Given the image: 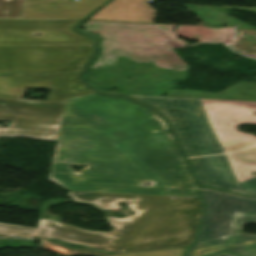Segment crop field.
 <instances>
[{"label": "crop field", "mask_w": 256, "mask_h": 256, "mask_svg": "<svg viewBox=\"0 0 256 256\" xmlns=\"http://www.w3.org/2000/svg\"><path fill=\"white\" fill-rule=\"evenodd\" d=\"M78 21L0 20V45L93 44L91 37L70 29Z\"/></svg>", "instance_id": "d8731c3e"}, {"label": "crop field", "mask_w": 256, "mask_h": 256, "mask_svg": "<svg viewBox=\"0 0 256 256\" xmlns=\"http://www.w3.org/2000/svg\"><path fill=\"white\" fill-rule=\"evenodd\" d=\"M23 5L24 0H0V17H19Z\"/></svg>", "instance_id": "22f410ed"}, {"label": "crop field", "mask_w": 256, "mask_h": 256, "mask_svg": "<svg viewBox=\"0 0 256 256\" xmlns=\"http://www.w3.org/2000/svg\"><path fill=\"white\" fill-rule=\"evenodd\" d=\"M64 103L0 98V120L12 121L0 128V136L56 140Z\"/></svg>", "instance_id": "e52e79f7"}, {"label": "crop field", "mask_w": 256, "mask_h": 256, "mask_svg": "<svg viewBox=\"0 0 256 256\" xmlns=\"http://www.w3.org/2000/svg\"><path fill=\"white\" fill-rule=\"evenodd\" d=\"M92 45L0 46V74L79 71Z\"/></svg>", "instance_id": "dd49c442"}, {"label": "crop field", "mask_w": 256, "mask_h": 256, "mask_svg": "<svg viewBox=\"0 0 256 256\" xmlns=\"http://www.w3.org/2000/svg\"><path fill=\"white\" fill-rule=\"evenodd\" d=\"M184 250L185 248H174V249L124 253V254L109 255V256H182Z\"/></svg>", "instance_id": "cbeb9de0"}, {"label": "crop field", "mask_w": 256, "mask_h": 256, "mask_svg": "<svg viewBox=\"0 0 256 256\" xmlns=\"http://www.w3.org/2000/svg\"><path fill=\"white\" fill-rule=\"evenodd\" d=\"M163 195L197 197L198 185L165 121L123 96L68 100Z\"/></svg>", "instance_id": "ac0d7876"}, {"label": "crop field", "mask_w": 256, "mask_h": 256, "mask_svg": "<svg viewBox=\"0 0 256 256\" xmlns=\"http://www.w3.org/2000/svg\"><path fill=\"white\" fill-rule=\"evenodd\" d=\"M61 121L50 181L66 190L162 195L68 101ZM88 167L74 172L71 165Z\"/></svg>", "instance_id": "34b2d1b8"}, {"label": "crop field", "mask_w": 256, "mask_h": 256, "mask_svg": "<svg viewBox=\"0 0 256 256\" xmlns=\"http://www.w3.org/2000/svg\"><path fill=\"white\" fill-rule=\"evenodd\" d=\"M70 197L101 209H116L125 202L135 214L108 218L111 233L84 231L39 219L37 229L0 223V235L56 238L111 252L190 245L195 237L202 205L198 198L71 191Z\"/></svg>", "instance_id": "8a807250"}, {"label": "crop field", "mask_w": 256, "mask_h": 256, "mask_svg": "<svg viewBox=\"0 0 256 256\" xmlns=\"http://www.w3.org/2000/svg\"><path fill=\"white\" fill-rule=\"evenodd\" d=\"M130 96L154 107L168 119L202 184L256 195V177L238 181L199 98Z\"/></svg>", "instance_id": "412701ff"}, {"label": "crop field", "mask_w": 256, "mask_h": 256, "mask_svg": "<svg viewBox=\"0 0 256 256\" xmlns=\"http://www.w3.org/2000/svg\"><path fill=\"white\" fill-rule=\"evenodd\" d=\"M38 0H25L26 2ZM105 0H55L26 4L22 19H82L94 11Z\"/></svg>", "instance_id": "28ad6ade"}, {"label": "crop field", "mask_w": 256, "mask_h": 256, "mask_svg": "<svg viewBox=\"0 0 256 256\" xmlns=\"http://www.w3.org/2000/svg\"><path fill=\"white\" fill-rule=\"evenodd\" d=\"M77 73L34 76L12 73L0 76V97L22 98L26 87H52L49 100L65 102L68 98L94 94L77 78Z\"/></svg>", "instance_id": "5a996713"}, {"label": "crop field", "mask_w": 256, "mask_h": 256, "mask_svg": "<svg viewBox=\"0 0 256 256\" xmlns=\"http://www.w3.org/2000/svg\"><path fill=\"white\" fill-rule=\"evenodd\" d=\"M202 101L209 114L211 113L205 102L256 109V103L210 100ZM252 112H256V110L249 112L244 124H256V114H251ZM219 137L224 145V148L230 158V161L235 169L239 180L242 181L247 178L253 177L251 175V172L256 171V142L235 141L229 138L221 136Z\"/></svg>", "instance_id": "3316defc"}, {"label": "crop field", "mask_w": 256, "mask_h": 256, "mask_svg": "<svg viewBox=\"0 0 256 256\" xmlns=\"http://www.w3.org/2000/svg\"><path fill=\"white\" fill-rule=\"evenodd\" d=\"M147 0H114L88 20L153 24L155 10Z\"/></svg>", "instance_id": "d1516ede"}, {"label": "crop field", "mask_w": 256, "mask_h": 256, "mask_svg": "<svg viewBox=\"0 0 256 256\" xmlns=\"http://www.w3.org/2000/svg\"><path fill=\"white\" fill-rule=\"evenodd\" d=\"M206 210L196 244L186 256H256V235L240 233L256 221V198L203 187Z\"/></svg>", "instance_id": "f4fd0767"}]
</instances>
